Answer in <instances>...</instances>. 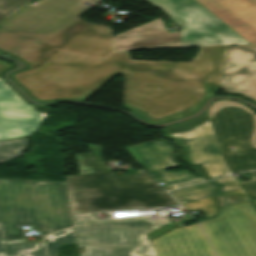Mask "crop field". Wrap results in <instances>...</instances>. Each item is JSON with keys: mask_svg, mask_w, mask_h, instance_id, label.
I'll use <instances>...</instances> for the list:
<instances>
[{"mask_svg": "<svg viewBox=\"0 0 256 256\" xmlns=\"http://www.w3.org/2000/svg\"><path fill=\"white\" fill-rule=\"evenodd\" d=\"M0 25V50L24 61L13 80L35 100L84 101L118 73L122 108L150 123L191 115L216 93L228 46L200 48L191 63L134 61L113 53L110 27L79 16L85 0H35Z\"/></svg>", "mask_w": 256, "mask_h": 256, "instance_id": "obj_1", "label": "crop field"}, {"mask_svg": "<svg viewBox=\"0 0 256 256\" xmlns=\"http://www.w3.org/2000/svg\"><path fill=\"white\" fill-rule=\"evenodd\" d=\"M188 211L199 209L207 218L218 214L220 207L227 206L222 195H217L208 199L188 203L183 205Z\"/></svg>", "mask_w": 256, "mask_h": 256, "instance_id": "obj_19", "label": "crop field"}, {"mask_svg": "<svg viewBox=\"0 0 256 256\" xmlns=\"http://www.w3.org/2000/svg\"><path fill=\"white\" fill-rule=\"evenodd\" d=\"M184 125L187 126L184 127ZM166 130L184 142L188 150V158L193 165L205 164L194 168L197 173L209 179L231 174L222 160L208 115L198 117L180 126L168 127Z\"/></svg>", "mask_w": 256, "mask_h": 256, "instance_id": "obj_8", "label": "crop field"}, {"mask_svg": "<svg viewBox=\"0 0 256 256\" xmlns=\"http://www.w3.org/2000/svg\"><path fill=\"white\" fill-rule=\"evenodd\" d=\"M172 146L165 140H155L126 149L158 182L165 184L164 188L166 190L204 181L200 177L195 178L193 174L186 170L179 172L166 171L178 168V164L173 159L174 149Z\"/></svg>", "mask_w": 256, "mask_h": 256, "instance_id": "obj_9", "label": "crop field"}, {"mask_svg": "<svg viewBox=\"0 0 256 256\" xmlns=\"http://www.w3.org/2000/svg\"><path fill=\"white\" fill-rule=\"evenodd\" d=\"M41 123L38 121L35 123V125L31 128V130L27 133V135H31L37 128L38 126L40 125ZM26 135V136H27Z\"/></svg>", "mask_w": 256, "mask_h": 256, "instance_id": "obj_28", "label": "crop field"}, {"mask_svg": "<svg viewBox=\"0 0 256 256\" xmlns=\"http://www.w3.org/2000/svg\"><path fill=\"white\" fill-rule=\"evenodd\" d=\"M207 112L223 160L232 174L256 169V114L227 100L214 102Z\"/></svg>", "mask_w": 256, "mask_h": 256, "instance_id": "obj_4", "label": "crop field"}, {"mask_svg": "<svg viewBox=\"0 0 256 256\" xmlns=\"http://www.w3.org/2000/svg\"><path fill=\"white\" fill-rule=\"evenodd\" d=\"M115 51L181 47L180 32L168 33L160 18L113 37Z\"/></svg>", "mask_w": 256, "mask_h": 256, "instance_id": "obj_13", "label": "crop field"}, {"mask_svg": "<svg viewBox=\"0 0 256 256\" xmlns=\"http://www.w3.org/2000/svg\"><path fill=\"white\" fill-rule=\"evenodd\" d=\"M65 179L72 214L178 205L143 170L134 175L102 173Z\"/></svg>", "mask_w": 256, "mask_h": 256, "instance_id": "obj_3", "label": "crop field"}, {"mask_svg": "<svg viewBox=\"0 0 256 256\" xmlns=\"http://www.w3.org/2000/svg\"><path fill=\"white\" fill-rule=\"evenodd\" d=\"M75 221L81 248L150 243L146 234L169 223L147 217L98 220L94 214L75 215Z\"/></svg>", "mask_w": 256, "mask_h": 256, "instance_id": "obj_7", "label": "crop field"}, {"mask_svg": "<svg viewBox=\"0 0 256 256\" xmlns=\"http://www.w3.org/2000/svg\"><path fill=\"white\" fill-rule=\"evenodd\" d=\"M24 139H25V142H26V146L22 149V151H21L18 155H20V154L26 149V147L28 146V143H27V139H28V138H24ZM18 155H17V156H18ZM17 156H15V157H17ZM15 157H13V158H11L10 160H8V161H6V162H3V163H1V164H5V163L11 161L12 159H14ZM1 164H0V165H1Z\"/></svg>", "mask_w": 256, "mask_h": 256, "instance_id": "obj_29", "label": "crop field"}, {"mask_svg": "<svg viewBox=\"0 0 256 256\" xmlns=\"http://www.w3.org/2000/svg\"><path fill=\"white\" fill-rule=\"evenodd\" d=\"M79 256H157L152 244L84 249Z\"/></svg>", "mask_w": 256, "mask_h": 256, "instance_id": "obj_15", "label": "crop field"}, {"mask_svg": "<svg viewBox=\"0 0 256 256\" xmlns=\"http://www.w3.org/2000/svg\"><path fill=\"white\" fill-rule=\"evenodd\" d=\"M217 256H256V211L245 202L200 222Z\"/></svg>", "mask_w": 256, "mask_h": 256, "instance_id": "obj_6", "label": "crop field"}, {"mask_svg": "<svg viewBox=\"0 0 256 256\" xmlns=\"http://www.w3.org/2000/svg\"><path fill=\"white\" fill-rule=\"evenodd\" d=\"M172 227H174V225L171 224V223H169V224L164 225V226L160 227L159 229H157V230H155V231H153V232L147 234V237H148V238H151V237H153V236L159 234L160 232H162V231H164V230H167V229H169V228H172Z\"/></svg>", "mask_w": 256, "mask_h": 256, "instance_id": "obj_26", "label": "crop field"}, {"mask_svg": "<svg viewBox=\"0 0 256 256\" xmlns=\"http://www.w3.org/2000/svg\"><path fill=\"white\" fill-rule=\"evenodd\" d=\"M253 203L255 204V206H256V201H253Z\"/></svg>", "mask_w": 256, "mask_h": 256, "instance_id": "obj_31", "label": "crop field"}, {"mask_svg": "<svg viewBox=\"0 0 256 256\" xmlns=\"http://www.w3.org/2000/svg\"><path fill=\"white\" fill-rule=\"evenodd\" d=\"M0 256H45L42 242L23 243L22 239L2 240Z\"/></svg>", "mask_w": 256, "mask_h": 256, "instance_id": "obj_16", "label": "crop field"}, {"mask_svg": "<svg viewBox=\"0 0 256 256\" xmlns=\"http://www.w3.org/2000/svg\"><path fill=\"white\" fill-rule=\"evenodd\" d=\"M181 26L182 47L250 45L194 0H145Z\"/></svg>", "mask_w": 256, "mask_h": 256, "instance_id": "obj_5", "label": "crop field"}, {"mask_svg": "<svg viewBox=\"0 0 256 256\" xmlns=\"http://www.w3.org/2000/svg\"><path fill=\"white\" fill-rule=\"evenodd\" d=\"M0 64L3 66V68L0 70V77H1V73H2V71H4V70H6V69H8V68H10L12 65H9V64H7V63H5V62H2V61H0ZM8 85V84H7ZM9 86V85H8ZM10 87V86H9ZM11 88V87H10ZM13 91H14V89L13 88H11ZM26 102V101H25ZM26 103H28V102H26ZM33 106V105H32ZM34 108H38V106H33Z\"/></svg>", "mask_w": 256, "mask_h": 256, "instance_id": "obj_27", "label": "crop field"}, {"mask_svg": "<svg viewBox=\"0 0 256 256\" xmlns=\"http://www.w3.org/2000/svg\"><path fill=\"white\" fill-rule=\"evenodd\" d=\"M30 0H0V22Z\"/></svg>", "mask_w": 256, "mask_h": 256, "instance_id": "obj_22", "label": "crop field"}, {"mask_svg": "<svg viewBox=\"0 0 256 256\" xmlns=\"http://www.w3.org/2000/svg\"><path fill=\"white\" fill-rule=\"evenodd\" d=\"M229 206L238 204L244 201H248L249 198L246 196V194L243 192V190H237L229 193L224 194Z\"/></svg>", "mask_w": 256, "mask_h": 256, "instance_id": "obj_25", "label": "crop field"}, {"mask_svg": "<svg viewBox=\"0 0 256 256\" xmlns=\"http://www.w3.org/2000/svg\"><path fill=\"white\" fill-rule=\"evenodd\" d=\"M0 178V223L4 237H22L20 226L42 234L72 226L65 182Z\"/></svg>", "mask_w": 256, "mask_h": 256, "instance_id": "obj_2", "label": "crop field"}, {"mask_svg": "<svg viewBox=\"0 0 256 256\" xmlns=\"http://www.w3.org/2000/svg\"><path fill=\"white\" fill-rule=\"evenodd\" d=\"M197 1L252 45H256V0Z\"/></svg>", "mask_w": 256, "mask_h": 256, "instance_id": "obj_12", "label": "crop field"}, {"mask_svg": "<svg viewBox=\"0 0 256 256\" xmlns=\"http://www.w3.org/2000/svg\"><path fill=\"white\" fill-rule=\"evenodd\" d=\"M214 182L220 187L223 193L241 188L233 176L216 180Z\"/></svg>", "mask_w": 256, "mask_h": 256, "instance_id": "obj_24", "label": "crop field"}, {"mask_svg": "<svg viewBox=\"0 0 256 256\" xmlns=\"http://www.w3.org/2000/svg\"><path fill=\"white\" fill-rule=\"evenodd\" d=\"M24 145L23 139L0 141V163L17 155Z\"/></svg>", "mask_w": 256, "mask_h": 256, "instance_id": "obj_21", "label": "crop field"}, {"mask_svg": "<svg viewBox=\"0 0 256 256\" xmlns=\"http://www.w3.org/2000/svg\"><path fill=\"white\" fill-rule=\"evenodd\" d=\"M36 121L34 108L26 104L0 78V140L25 136Z\"/></svg>", "mask_w": 256, "mask_h": 256, "instance_id": "obj_11", "label": "crop field"}, {"mask_svg": "<svg viewBox=\"0 0 256 256\" xmlns=\"http://www.w3.org/2000/svg\"><path fill=\"white\" fill-rule=\"evenodd\" d=\"M151 242L158 256H214L198 224L175 228Z\"/></svg>", "mask_w": 256, "mask_h": 256, "instance_id": "obj_14", "label": "crop field"}, {"mask_svg": "<svg viewBox=\"0 0 256 256\" xmlns=\"http://www.w3.org/2000/svg\"><path fill=\"white\" fill-rule=\"evenodd\" d=\"M181 204L220 194L215 185L203 183L170 192Z\"/></svg>", "mask_w": 256, "mask_h": 256, "instance_id": "obj_18", "label": "crop field"}, {"mask_svg": "<svg viewBox=\"0 0 256 256\" xmlns=\"http://www.w3.org/2000/svg\"><path fill=\"white\" fill-rule=\"evenodd\" d=\"M88 1L99 2V1H101V0H88Z\"/></svg>", "mask_w": 256, "mask_h": 256, "instance_id": "obj_30", "label": "crop field"}, {"mask_svg": "<svg viewBox=\"0 0 256 256\" xmlns=\"http://www.w3.org/2000/svg\"><path fill=\"white\" fill-rule=\"evenodd\" d=\"M254 176H252V180L243 182L241 180H238L236 176L234 177L237 179L239 184L242 186L244 192L247 194V196L250 198V200H256V171L253 172Z\"/></svg>", "mask_w": 256, "mask_h": 256, "instance_id": "obj_23", "label": "crop field"}, {"mask_svg": "<svg viewBox=\"0 0 256 256\" xmlns=\"http://www.w3.org/2000/svg\"><path fill=\"white\" fill-rule=\"evenodd\" d=\"M90 154L75 155L79 175L111 171L103 162L100 146L87 145Z\"/></svg>", "mask_w": 256, "mask_h": 256, "instance_id": "obj_17", "label": "crop field"}, {"mask_svg": "<svg viewBox=\"0 0 256 256\" xmlns=\"http://www.w3.org/2000/svg\"><path fill=\"white\" fill-rule=\"evenodd\" d=\"M48 255L57 256L56 252L60 244L76 243L73 227L59 233L51 234L45 237Z\"/></svg>", "mask_w": 256, "mask_h": 256, "instance_id": "obj_20", "label": "crop field"}, {"mask_svg": "<svg viewBox=\"0 0 256 256\" xmlns=\"http://www.w3.org/2000/svg\"><path fill=\"white\" fill-rule=\"evenodd\" d=\"M220 88L256 102V47L229 46Z\"/></svg>", "mask_w": 256, "mask_h": 256, "instance_id": "obj_10", "label": "crop field"}]
</instances>
